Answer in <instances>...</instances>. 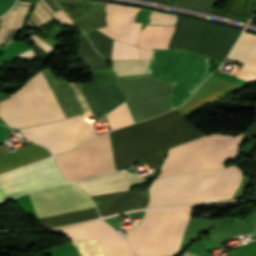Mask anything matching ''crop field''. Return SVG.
Wrapping results in <instances>:
<instances>
[{
    "instance_id": "8a807250",
    "label": "crop field",
    "mask_w": 256,
    "mask_h": 256,
    "mask_svg": "<svg viewBox=\"0 0 256 256\" xmlns=\"http://www.w3.org/2000/svg\"><path fill=\"white\" fill-rule=\"evenodd\" d=\"M110 135L117 170L130 167L136 159L159 167L169 148L203 136L175 109ZM242 136H207L172 148L158 177L222 168V159L234 158ZM252 137H256V120L242 139ZM54 159L68 182L115 171L108 133Z\"/></svg>"
},
{
    "instance_id": "ac0d7876",
    "label": "crop field",
    "mask_w": 256,
    "mask_h": 256,
    "mask_svg": "<svg viewBox=\"0 0 256 256\" xmlns=\"http://www.w3.org/2000/svg\"><path fill=\"white\" fill-rule=\"evenodd\" d=\"M43 72L67 117L82 114L67 81L57 79L49 67L43 69ZM43 72L41 70L29 80L51 121L66 118ZM29 80L15 93L9 95L8 99L0 101V118L9 127L21 128L50 122Z\"/></svg>"
},
{
    "instance_id": "34b2d1b8",
    "label": "crop field",
    "mask_w": 256,
    "mask_h": 256,
    "mask_svg": "<svg viewBox=\"0 0 256 256\" xmlns=\"http://www.w3.org/2000/svg\"><path fill=\"white\" fill-rule=\"evenodd\" d=\"M174 27L146 25L140 30L142 48H176L192 51L222 63L240 31L178 16ZM237 40V39H236Z\"/></svg>"
},
{
    "instance_id": "412701ff",
    "label": "crop field",
    "mask_w": 256,
    "mask_h": 256,
    "mask_svg": "<svg viewBox=\"0 0 256 256\" xmlns=\"http://www.w3.org/2000/svg\"><path fill=\"white\" fill-rule=\"evenodd\" d=\"M241 176L242 171L232 165L219 170L155 178L149 187L148 207L231 198Z\"/></svg>"
},
{
    "instance_id": "f4fd0767",
    "label": "crop field",
    "mask_w": 256,
    "mask_h": 256,
    "mask_svg": "<svg viewBox=\"0 0 256 256\" xmlns=\"http://www.w3.org/2000/svg\"><path fill=\"white\" fill-rule=\"evenodd\" d=\"M48 151L34 144L3 155L0 173L49 157ZM65 183L51 157L0 174V203L34 189Z\"/></svg>"
},
{
    "instance_id": "dd49c442",
    "label": "crop field",
    "mask_w": 256,
    "mask_h": 256,
    "mask_svg": "<svg viewBox=\"0 0 256 256\" xmlns=\"http://www.w3.org/2000/svg\"><path fill=\"white\" fill-rule=\"evenodd\" d=\"M190 215V206L146 210L126 238L136 256L176 255Z\"/></svg>"
},
{
    "instance_id": "e52e79f7",
    "label": "crop field",
    "mask_w": 256,
    "mask_h": 256,
    "mask_svg": "<svg viewBox=\"0 0 256 256\" xmlns=\"http://www.w3.org/2000/svg\"><path fill=\"white\" fill-rule=\"evenodd\" d=\"M170 85L169 81L148 75L117 78L134 123L169 110ZM126 102L107 115L111 130L133 123Z\"/></svg>"
},
{
    "instance_id": "d8731c3e",
    "label": "crop field",
    "mask_w": 256,
    "mask_h": 256,
    "mask_svg": "<svg viewBox=\"0 0 256 256\" xmlns=\"http://www.w3.org/2000/svg\"><path fill=\"white\" fill-rule=\"evenodd\" d=\"M145 74L173 82L168 96L170 110L183 104L209 74L210 60L184 50L151 49Z\"/></svg>"
},
{
    "instance_id": "5a996713",
    "label": "crop field",
    "mask_w": 256,
    "mask_h": 256,
    "mask_svg": "<svg viewBox=\"0 0 256 256\" xmlns=\"http://www.w3.org/2000/svg\"><path fill=\"white\" fill-rule=\"evenodd\" d=\"M26 140L45 146L52 154L63 152L81 140L93 137V131L82 116L19 129Z\"/></svg>"
},
{
    "instance_id": "3316defc",
    "label": "crop field",
    "mask_w": 256,
    "mask_h": 256,
    "mask_svg": "<svg viewBox=\"0 0 256 256\" xmlns=\"http://www.w3.org/2000/svg\"><path fill=\"white\" fill-rule=\"evenodd\" d=\"M37 218L95 207L88 196L72 184L28 194Z\"/></svg>"
},
{
    "instance_id": "28ad6ade",
    "label": "crop field",
    "mask_w": 256,
    "mask_h": 256,
    "mask_svg": "<svg viewBox=\"0 0 256 256\" xmlns=\"http://www.w3.org/2000/svg\"><path fill=\"white\" fill-rule=\"evenodd\" d=\"M61 230L72 242L96 238L105 256H133L128 243L102 220Z\"/></svg>"
},
{
    "instance_id": "d1516ede",
    "label": "crop field",
    "mask_w": 256,
    "mask_h": 256,
    "mask_svg": "<svg viewBox=\"0 0 256 256\" xmlns=\"http://www.w3.org/2000/svg\"><path fill=\"white\" fill-rule=\"evenodd\" d=\"M95 80L79 84L95 116L107 114L123 96L115 85L112 68L92 72Z\"/></svg>"
},
{
    "instance_id": "22f410ed",
    "label": "crop field",
    "mask_w": 256,
    "mask_h": 256,
    "mask_svg": "<svg viewBox=\"0 0 256 256\" xmlns=\"http://www.w3.org/2000/svg\"><path fill=\"white\" fill-rule=\"evenodd\" d=\"M105 10L108 26L98 30L114 39L136 45L141 24L133 23V20L139 9L107 4Z\"/></svg>"
},
{
    "instance_id": "cbeb9de0",
    "label": "crop field",
    "mask_w": 256,
    "mask_h": 256,
    "mask_svg": "<svg viewBox=\"0 0 256 256\" xmlns=\"http://www.w3.org/2000/svg\"><path fill=\"white\" fill-rule=\"evenodd\" d=\"M101 215L123 212L145 207L147 203L146 189L120 191L91 197Z\"/></svg>"
},
{
    "instance_id": "5142ce71",
    "label": "crop field",
    "mask_w": 256,
    "mask_h": 256,
    "mask_svg": "<svg viewBox=\"0 0 256 256\" xmlns=\"http://www.w3.org/2000/svg\"><path fill=\"white\" fill-rule=\"evenodd\" d=\"M144 179L124 171L76 182L89 196L126 190L127 187L142 182Z\"/></svg>"
},
{
    "instance_id": "d9b57169",
    "label": "crop field",
    "mask_w": 256,
    "mask_h": 256,
    "mask_svg": "<svg viewBox=\"0 0 256 256\" xmlns=\"http://www.w3.org/2000/svg\"><path fill=\"white\" fill-rule=\"evenodd\" d=\"M229 59L245 62L238 78L256 81V36L243 32Z\"/></svg>"
},
{
    "instance_id": "733c2abd",
    "label": "crop field",
    "mask_w": 256,
    "mask_h": 256,
    "mask_svg": "<svg viewBox=\"0 0 256 256\" xmlns=\"http://www.w3.org/2000/svg\"><path fill=\"white\" fill-rule=\"evenodd\" d=\"M97 212L96 209H87L77 212H71L61 215H55L43 219H39V223L44 228H53V227H59L64 226L76 222H81L93 218H97Z\"/></svg>"
},
{
    "instance_id": "4a817a6b",
    "label": "crop field",
    "mask_w": 256,
    "mask_h": 256,
    "mask_svg": "<svg viewBox=\"0 0 256 256\" xmlns=\"http://www.w3.org/2000/svg\"><path fill=\"white\" fill-rule=\"evenodd\" d=\"M150 60H112L116 76L144 74Z\"/></svg>"
},
{
    "instance_id": "bc2a9ffb",
    "label": "crop field",
    "mask_w": 256,
    "mask_h": 256,
    "mask_svg": "<svg viewBox=\"0 0 256 256\" xmlns=\"http://www.w3.org/2000/svg\"><path fill=\"white\" fill-rule=\"evenodd\" d=\"M241 86H238L236 84L230 83L208 95L202 96L196 100H194L193 102L183 106L182 108L178 109L180 110L182 113H184L185 115L200 108L201 106L239 88Z\"/></svg>"
},
{
    "instance_id": "214f88e0",
    "label": "crop field",
    "mask_w": 256,
    "mask_h": 256,
    "mask_svg": "<svg viewBox=\"0 0 256 256\" xmlns=\"http://www.w3.org/2000/svg\"><path fill=\"white\" fill-rule=\"evenodd\" d=\"M85 34L99 54H101L106 58L111 59V47H112V41L114 39L96 30L93 32L85 33Z\"/></svg>"
},
{
    "instance_id": "92a150f3",
    "label": "crop field",
    "mask_w": 256,
    "mask_h": 256,
    "mask_svg": "<svg viewBox=\"0 0 256 256\" xmlns=\"http://www.w3.org/2000/svg\"><path fill=\"white\" fill-rule=\"evenodd\" d=\"M149 18L151 19L150 23L167 25H173L176 20V17L173 15H167L156 12H152Z\"/></svg>"
},
{
    "instance_id": "dafd665d",
    "label": "crop field",
    "mask_w": 256,
    "mask_h": 256,
    "mask_svg": "<svg viewBox=\"0 0 256 256\" xmlns=\"http://www.w3.org/2000/svg\"><path fill=\"white\" fill-rule=\"evenodd\" d=\"M29 39L34 41L36 44H38L40 47H42L44 50H46L50 54L54 49L50 45H48L46 42H44L42 39L37 37L35 34L33 36H31Z\"/></svg>"
},
{
    "instance_id": "00972430",
    "label": "crop field",
    "mask_w": 256,
    "mask_h": 256,
    "mask_svg": "<svg viewBox=\"0 0 256 256\" xmlns=\"http://www.w3.org/2000/svg\"><path fill=\"white\" fill-rule=\"evenodd\" d=\"M19 57H22L24 59H27L29 61H31L33 58H35L37 55L34 54L31 49L27 50L26 52L22 53V54H19L17 55Z\"/></svg>"
},
{
    "instance_id": "a9b5d70f",
    "label": "crop field",
    "mask_w": 256,
    "mask_h": 256,
    "mask_svg": "<svg viewBox=\"0 0 256 256\" xmlns=\"http://www.w3.org/2000/svg\"><path fill=\"white\" fill-rule=\"evenodd\" d=\"M139 59H149L150 49H140L138 48Z\"/></svg>"
},
{
    "instance_id": "4177f3b9",
    "label": "crop field",
    "mask_w": 256,
    "mask_h": 256,
    "mask_svg": "<svg viewBox=\"0 0 256 256\" xmlns=\"http://www.w3.org/2000/svg\"><path fill=\"white\" fill-rule=\"evenodd\" d=\"M183 256H197V255L186 252Z\"/></svg>"
},
{
    "instance_id": "730fd06b",
    "label": "crop field",
    "mask_w": 256,
    "mask_h": 256,
    "mask_svg": "<svg viewBox=\"0 0 256 256\" xmlns=\"http://www.w3.org/2000/svg\"><path fill=\"white\" fill-rule=\"evenodd\" d=\"M219 1V0H218ZM217 4V3H216ZM215 7V6H214ZM213 10V9H212Z\"/></svg>"
},
{
    "instance_id": "eef30255",
    "label": "crop field",
    "mask_w": 256,
    "mask_h": 256,
    "mask_svg": "<svg viewBox=\"0 0 256 256\" xmlns=\"http://www.w3.org/2000/svg\"><path fill=\"white\" fill-rule=\"evenodd\" d=\"M0 20H1V18H0Z\"/></svg>"
}]
</instances>
